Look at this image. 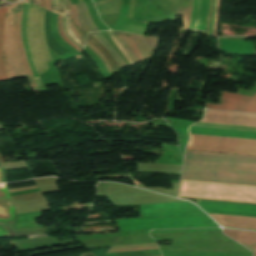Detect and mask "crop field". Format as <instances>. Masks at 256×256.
Wrapping results in <instances>:
<instances>
[{"label": "crop field", "instance_id": "crop-field-1", "mask_svg": "<svg viewBox=\"0 0 256 256\" xmlns=\"http://www.w3.org/2000/svg\"><path fill=\"white\" fill-rule=\"evenodd\" d=\"M182 180L256 186V157L187 151ZM187 181L180 196L256 203V187Z\"/></svg>", "mask_w": 256, "mask_h": 256}, {"label": "crop field", "instance_id": "crop-field-2", "mask_svg": "<svg viewBox=\"0 0 256 256\" xmlns=\"http://www.w3.org/2000/svg\"><path fill=\"white\" fill-rule=\"evenodd\" d=\"M21 3L9 5L7 8L4 25V44L6 48V58L9 62L13 78H28L33 91H39L29 65L25 58L24 48L20 34V18L22 12Z\"/></svg>", "mask_w": 256, "mask_h": 256}, {"label": "crop field", "instance_id": "crop-field-3", "mask_svg": "<svg viewBox=\"0 0 256 256\" xmlns=\"http://www.w3.org/2000/svg\"><path fill=\"white\" fill-rule=\"evenodd\" d=\"M187 149L256 155V140L190 134Z\"/></svg>", "mask_w": 256, "mask_h": 256}, {"label": "crop field", "instance_id": "crop-field-4", "mask_svg": "<svg viewBox=\"0 0 256 256\" xmlns=\"http://www.w3.org/2000/svg\"><path fill=\"white\" fill-rule=\"evenodd\" d=\"M114 34L134 63L149 58L159 42L157 38L141 37L120 32H114Z\"/></svg>", "mask_w": 256, "mask_h": 256}, {"label": "crop field", "instance_id": "crop-field-5", "mask_svg": "<svg viewBox=\"0 0 256 256\" xmlns=\"http://www.w3.org/2000/svg\"><path fill=\"white\" fill-rule=\"evenodd\" d=\"M197 205L207 213L256 217V204L199 199Z\"/></svg>", "mask_w": 256, "mask_h": 256}, {"label": "crop field", "instance_id": "crop-field-6", "mask_svg": "<svg viewBox=\"0 0 256 256\" xmlns=\"http://www.w3.org/2000/svg\"><path fill=\"white\" fill-rule=\"evenodd\" d=\"M201 122L256 127V114L206 110Z\"/></svg>", "mask_w": 256, "mask_h": 256}, {"label": "crop field", "instance_id": "crop-field-7", "mask_svg": "<svg viewBox=\"0 0 256 256\" xmlns=\"http://www.w3.org/2000/svg\"><path fill=\"white\" fill-rule=\"evenodd\" d=\"M206 108L256 112V94L253 98L224 92L222 105L207 104Z\"/></svg>", "mask_w": 256, "mask_h": 256}, {"label": "crop field", "instance_id": "crop-field-8", "mask_svg": "<svg viewBox=\"0 0 256 256\" xmlns=\"http://www.w3.org/2000/svg\"><path fill=\"white\" fill-rule=\"evenodd\" d=\"M190 133L256 139V132L190 127Z\"/></svg>", "mask_w": 256, "mask_h": 256}, {"label": "crop field", "instance_id": "crop-field-9", "mask_svg": "<svg viewBox=\"0 0 256 256\" xmlns=\"http://www.w3.org/2000/svg\"><path fill=\"white\" fill-rule=\"evenodd\" d=\"M220 225L228 227L252 228L256 229V218L213 215L209 214Z\"/></svg>", "mask_w": 256, "mask_h": 256}, {"label": "crop field", "instance_id": "crop-field-10", "mask_svg": "<svg viewBox=\"0 0 256 256\" xmlns=\"http://www.w3.org/2000/svg\"><path fill=\"white\" fill-rule=\"evenodd\" d=\"M15 209L4 184H0V221L14 222Z\"/></svg>", "mask_w": 256, "mask_h": 256}, {"label": "crop field", "instance_id": "crop-field-11", "mask_svg": "<svg viewBox=\"0 0 256 256\" xmlns=\"http://www.w3.org/2000/svg\"><path fill=\"white\" fill-rule=\"evenodd\" d=\"M6 8L7 6L0 9V81L13 79L8 62L5 58V48L3 44V24Z\"/></svg>", "mask_w": 256, "mask_h": 256}, {"label": "crop field", "instance_id": "crop-field-12", "mask_svg": "<svg viewBox=\"0 0 256 256\" xmlns=\"http://www.w3.org/2000/svg\"><path fill=\"white\" fill-rule=\"evenodd\" d=\"M224 234L243 244L255 252L256 256V233L223 229Z\"/></svg>", "mask_w": 256, "mask_h": 256}, {"label": "crop field", "instance_id": "crop-field-13", "mask_svg": "<svg viewBox=\"0 0 256 256\" xmlns=\"http://www.w3.org/2000/svg\"><path fill=\"white\" fill-rule=\"evenodd\" d=\"M27 14H28V3L24 2L23 12H22V20H21L22 40H23V45H24V48H25L26 58L28 60L30 68H31V72H32L34 78L37 79L39 77H38L37 72L35 70L34 62H33L31 52H30V49H29V45H28V41H27V34H26Z\"/></svg>", "mask_w": 256, "mask_h": 256}, {"label": "crop field", "instance_id": "crop-field-14", "mask_svg": "<svg viewBox=\"0 0 256 256\" xmlns=\"http://www.w3.org/2000/svg\"><path fill=\"white\" fill-rule=\"evenodd\" d=\"M209 10V0H199L197 23L195 30L205 31Z\"/></svg>", "mask_w": 256, "mask_h": 256}, {"label": "crop field", "instance_id": "crop-field-15", "mask_svg": "<svg viewBox=\"0 0 256 256\" xmlns=\"http://www.w3.org/2000/svg\"><path fill=\"white\" fill-rule=\"evenodd\" d=\"M101 44H103L107 50L110 52L112 57L114 58L115 62L117 63L118 67H125L126 64L123 60L119 57L113 47L109 44V42L105 39V37L101 34V32L91 33Z\"/></svg>", "mask_w": 256, "mask_h": 256}, {"label": "crop field", "instance_id": "crop-field-16", "mask_svg": "<svg viewBox=\"0 0 256 256\" xmlns=\"http://www.w3.org/2000/svg\"><path fill=\"white\" fill-rule=\"evenodd\" d=\"M79 8H80V12H81V17H82V23H83L84 30L88 31V32L98 31L96 25L92 22L89 14H88L86 4L85 3L80 4Z\"/></svg>", "mask_w": 256, "mask_h": 256}, {"label": "crop field", "instance_id": "crop-field-17", "mask_svg": "<svg viewBox=\"0 0 256 256\" xmlns=\"http://www.w3.org/2000/svg\"><path fill=\"white\" fill-rule=\"evenodd\" d=\"M14 223L0 222V236H13Z\"/></svg>", "mask_w": 256, "mask_h": 256}, {"label": "crop field", "instance_id": "crop-field-18", "mask_svg": "<svg viewBox=\"0 0 256 256\" xmlns=\"http://www.w3.org/2000/svg\"><path fill=\"white\" fill-rule=\"evenodd\" d=\"M191 8L179 7V10H178V15H184V18H183V21H184L183 28L186 29V30L188 29V26H189V19H190Z\"/></svg>", "mask_w": 256, "mask_h": 256}, {"label": "crop field", "instance_id": "crop-field-19", "mask_svg": "<svg viewBox=\"0 0 256 256\" xmlns=\"http://www.w3.org/2000/svg\"><path fill=\"white\" fill-rule=\"evenodd\" d=\"M52 12L64 15V7L62 0H50Z\"/></svg>", "mask_w": 256, "mask_h": 256}, {"label": "crop field", "instance_id": "crop-field-20", "mask_svg": "<svg viewBox=\"0 0 256 256\" xmlns=\"http://www.w3.org/2000/svg\"><path fill=\"white\" fill-rule=\"evenodd\" d=\"M197 6H198V0H194L193 9H192V13H191L190 26H189V30H191V31H194V27H195Z\"/></svg>", "mask_w": 256, "mask_h": 256}, {"label": "crop field", "instance_id": "crop-field-21", "mask_svg": "<svg viewBox=\"0 0 256 256\" xmlns=\"http://www.w3.org/2000/svg\"><path fill=\"white\" fill-rule=\"evenodd\" d=\"M58 30H59V33L60 35L62 36V38L68 43L70 44L73 48H75L77 51H79L81 53L82 50H80L77 46H75L72 42H70L66 36L64 35L63 33V30H62V20H61V16L58 15Z\"/></svg>", "mask_w": 256, "mask_h": 256}, {"label": "crop field", "instance_id": "crop-field-22", "mask_svg": "<svg viewBox=\"0 0 256 256\" xmlns=\"http://www.w3.org/2000/svg\"><path fill=\"white\" fill-rule=\"evenodd\" d=\"M72 7H73L75 23L77 26L82 28L80 13L78 9V3L72 4Z\"/></svg>", "mask_w": 256, "mask_h": 256}, {"label": "crop field", "instance_id": "crop-field-23", "mask_svg": "<svg viewBox=\"0 0 256 256\" xmlns=\"http://www.w3.org/2000/svg\"><path fill=\"white\" fill-rule=\"evenodd\" d=\"M220 9V0H216V16H215V26H214V36H217V22H218V15Z\"/></svg>", "mask_w": 256, "mask_h": 256}, {"label": "crop field", "instance_id": "crop-field-24", "mask_svg": "<svg viewBox=\"0 0 256 256\" xmlns=\"http://www.w3.org/2000/svg\"><path fill=\"white\" fill-rule=\"evenodd\" d=\"M86 45H87L91 50H93V51L100 57V59H101V60L103 61V63L105 64V66H106V68H107V70H108V73L111 74L112 72H111L109 66L107 65L106 61H105L104 58L102 57V55H101L93 46H91L92 44L90 45V44L87 42Z\"/></svg>", "mask_w": 256, "mask_h": 256}, {"label": "crop field", "instance_id": "crop-field-25", "mask_svg": "<svg viewBox=\"0 0 256 256\" xmlns=\"http://www.w3.org/2000/svg\"><path fill=\"white\" fill-rule=\"evenodd\" d=\"M214 15H215V0H214V4H213V15H212L211 24H210L209 35H212V33H213Z\"/></svg>", "mask_w": 256, "mask_h": 256}, {"label": "crop field", "instance_id": "crop-field-26", "mask_svg": "<svg viewBox=\"0 0 256 256\" xmlns=\"http://www.w3.org/2000/svg\"><path fill=\"white\" fill-rule=\"evenodd\" d=\"M67 29H68V32L70 34V36L72 38H74L80 45L84 46V44L82 42H80L73 34V32L70 30V24H69V19H67Z\"/></svg>", "mask_w": 256, "mask_h": 256}, {"label": "crop field", "instance_id": "crop-field-27", "mask_svg": "<svg viewBox=\"0 0 256 256\" xmlns=\"http://www.w3.org/2000/svg\"><path fill=\"white\" fill-rule=\"evenodd\" d=\"M71 22V21H70ZM71 29L73 30V32L75 33V35L84 43L85 40L77 33L76 28L74 26V23L71 22Z\"/></svg>", "mask_w": 256, "mask_h": 256}, {"label": "crop field", "instance_id": "crop-field-28", "mask_svg": "<svg viewBox=\"0 0 256 256\" xmlns=\"http://www.w3.org/2000/svg\"><path fill=\"white\" fill-rule=\"evenodd\" d=\"M0 182H5L4 168H0Z\"/></svg>", "mask_w": 256, "mask_h": 256}, {"label": "crop field", "instance_id": "crop-field-29", "mask_svg": "<svg viewBox=\"0 0 256 256\" xmlns=\"http://www.w3.org/2000/svg\"><path fill=\"white\" fill-rule=\"evenodd\" d=\"M67 2H68V6H69L70 19H72V20H73V14H72L71 4H70V1H69V0H67ZM73 21H74V20H73Z\"/></svg>", "mask_w": 256, "mask_h": 256}, {"label": "crop field", "instance_id": "crop-field-30", "mask_svg": "<svg viewBox=\"0 0 256 256\" xmlns=\"http://www.w3.org/2000/svg\"><path fill=\"white\" fill-rule=\"evenodd\" d=\"M44 2H45V9L51 12L49 0H44Z\"/></svg>", "mask_w": 256, "mask_h": 256}, {"label": "crop field", "instance_id": "crop-field-31", "mask_svg": "<svg viewBox=\"0 0 256 256\" xmlns=\"http://www.w3.org/2000/svg\"><path fill=\"white\" fill-rule=\"evenodd\" d=\"M64 1V7H65V13H66V16L67 17H69V15H68V7H67V3H66V1L65 0H63Z\"/></svg>", "mask_w": 256, "mask_h": 256}, {"label": "crop field", "instance_id": "crop-field-32", "mask_svg": "<svg viewBox=\"0 0 256 256\" xmlns=\"http://www.w3.org/2000/svg\"><path fill=\"white\" fill-rule=\"evenodd\" d=\"M34 4L40 6V0H34Z\"/></svg>", "mask_w": 256, "mask_h": 256}, {"label": "crop field", "instance_id": "crop-field-33", "mask_svg": "<svg viewBox=\"0 0 256 256\" xmlns=\"http://www.w3.org/2000/svg\"><path fill=\"white\" fill-rule=\"evenodd\" d=\"M41 7L44 8L43 0H41Z\"/></svg>", "mask_w": 256, "mask_h": 256}, {"label": "crop field", "instance_id": "crop-field-34", "mask_svg": "<svg viewBox=\"0 0 256 256\" xmlns=\"http://www.w3.org/2000/svg\"><path fill=\"white\" fill-rule=\"evenodd\" d=\"M0 162H3V159H2V157L0 156Z\"/></svg>", "mask_w": 256, "mask_h": 256}, {"label": "crop field", "instance_id": "crop-field-35", "mask_svg": "<svg viewBox=\"0 0 256 256\" xmlns=\"http://www.w3.org/2000/svg\"><path fill=\"white\" fill-rule=\"evenodd\" d=\"M17 0H12V2H16Z\"/></svg>", "mask_w": 256, "mask_h": 256}, {"label": "crop field", "instance_id": "crop-field-36", "mask_svg": "<svg viewBox=\"0 0 256 256\" xmlns=\"http://www.w3.org/2000/svg\"><path fill=\"white\" fill-rule=\"evenodd\" d=\"M6 1L11 2V0H6Z\"/></svg>", "mask_w": 256, "mask_h": 256}, {"label": "crop field", "instance_id": "crop-field-37", "mask_svg": "<svg viewBox=\"0 0 256 256\" xmlns=\"http://www.w3.org/2000/svg\"><path fill=\"white\" fill-rule=\"evenodd\" d=\"M20 1V0H19Z\"/></svg>", "mask_w": 256, "mask_h": 256}]
</instances>
